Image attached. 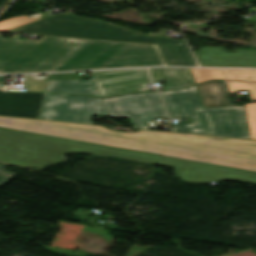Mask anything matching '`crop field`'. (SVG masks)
I'll use <instances>...</instances> for the list:
<instances>
[{"label":"crop field","mask_w":256,"mask_h":256,"mask_svg":"<svg viewBox=\"0 0 256 256\" xmlns=\"http://www.w3.org/2000/svg\"><path fill=\"white\" fill-rule=\"evenodd\" d=\"M0 127L256 171V141L145 130L127 134L103 127L4 117H0Z\"/></svg>","instance_id":"8a807250"},{"label":"crop field","mask_w":256,"mask_h":256,"mask_svg":"<svg viewBox=\"0 0 256 256\" xmlns=\"http://www.w3.org/2000/svg\"><path fill=\"white\" fill-rule=\"evenodd\" d=\"M2 39L0 74L167 66L157 45L42 36Z\"/></svg>","instance_id":"ac0d7876"},{"label":"crop field","mask_w":256,"mask_h":256,"mask_svg":"<svg viewBox=\"0 0 256 256\" xmlns=\"http://www.w3.org/2000/svg\"><path fill=\"white\" fill-rule=\"evenodd\" d=\"M70 152L107 154L174 166L178 176L188 182L209 183L222 179L256 182V173L252 172L0 129L2 162L42 169L47 164L64 161L61 155Z\"/></svg>","instance_id":"34b2d1b8"},{"label":"crop field","mask_w":256,"mask_h":256,"mask_svg":"<svg viewBox=\"0 0 256 256\" xmlns=\"http://www.w3.org/2000/svg\"><path fill=\"white\" fill-rule=\"evenodd\" d=\"M51 36L158 44L169 66H197L185 41L154 37L65 12L10 30Z\"/></svg>","instance_id":"412701ff"},{"label":"crop field","mask_w":256,"mask_h":256,"mask_svg":"<svg viewBox=\"0 0 256 256\" xmlns=\"http://www.w3.org/2000/svg\"><path fill=\"white\" fill-rule=\"evenodd\" d=\"M170 117L193 118L194 122L173 126L171 131L250 139L245 108L202 107L197 86L161 92Z\"/></svg>","instance_id":"f4fd0767"},{"label":"crop field","mask_w":256,"mask_h":256,"mask_svg":"<svg viewBox=\"0 0 256 256\" xmlns=\"http://www.w3.org/2000/svg\"><path fill=\"white\" fill-rule=\"evenodd\" d=\"M101 114H108L101 98L46 93L39 119L92 124Z\"/></svg>","instance_id":"dd49c442"},{"label":"crop field","mask_w":256,"mask_h":256,"mask_svg":"<svg viewBox=\"0 0 256 256\" xmlns=\"http://www.w3.org/2000/svg\"><path fill=\"white\" fill-rule=\"evenodd\" d=\"M112 117H131L135 128L150 129L147 121L167 117L159 92L102 99Z\"/></svg>","instance_id":"e52e79f7"},{"label":"crop field","mask_w":256,"mask_h":256,"mask_svg":"<svg viewBox=\"0 0 256 256\" xmlns=\"http://www.w3.org/2000/svg\"><path fill=\"white\" fill-rule=\"evenodd\" d=\"M101 97L147 90L151 84L147 69L90 72Z\"/></svg>","instance_id":"d8731c3e"},{"label":"crop field","mask_w":256,"mask_h":256,"mask_svg":"<svg viewBox=\"0 0 256 256\" xmlns=\"http://www.w3.org/2000/svg\"><path fill=\"white\" fill-rule=\"evenodd\" d=\"M194 54L200 66L256 68V50L227 52L223 48L202 47Z\"/></svg>","instance_id":"5a996713"},{"label":"crop field","mask_w":256,"mask_h":256,"mask_svg":"<svg viewBox=\"0 0 256 256\" xmlns=\"http://www.w3.org/2000/svg\"><path fill=\"white\" fill-rule=\"evenodd\" d=\"M45 93H0V116L39 118Z\"/></svg>","instance_id":"3316defc"},{"label":"crop field","mask_w":256,"mask_h":256,"mask_svg":"<svg viewBox=\"0 0 256 256\" xmlns=\"http://www.w3.org/2000/svg\"><path fill=\"white\" fill-rule=\"evenodd\" d=\"M197 86L205 108L234 106L225 81H210Z\"/></svg>","instance_id":"28ad6ade"},{"label":"crop field","mask_w":256,"mask_h":256,"mask_svg":"<svg viewBox=\"0 0 256 256\" xmlns=\"http://www.w3.org/2000/svg\"><path fill=\"white\" fill-rule=\"evenodd\" d=\"M150 71L153 81H165L168 90L194 84L189 68H157Z\"/></svg>","instance_id":"d1516ede"},{"label":"crop field","mask_w":256,"mask_h":256,"mask_svg":"<svg viewBox=\"0 0 256 256\" xmlns=\"http://www.w3.org/2000/svg\"><path fill=\"white\" fill-rule=\"evenodd\" d=\"M94 81V80H93ZM92 80L49 81L46 92H62L100 97Z\"/></svg>","instance_id":"22f410ed"},{"label":"crop field","mask_w":256,"mask_h":256,"mask_svg":"<svg viewBox=\"0 0 256 256\" xmlns=\"http://www.w3.org/2000/svg\"><path fill=\"white\" fill-rule=\"evenodd\" d=\"M227 80L256 82V70L223 69Z\"/></svg>","instance_id":"cbeb9de0"},{"label":"crop field","mask_w":256,"mask_h":256,"mask_svg":"<svg viewBox=\"0 0 256 256\" xmlns=\"http://www.w3.org/2000/svg\"><path fill=\"white\" fill-rule=\"evenodd\" d=\"M191 69L196 83L210 79L224 80V77L220 69Z\"/></svg>","instance_id":"5142ce71"},{"label":"crop field","mask_w":256,"mask_h":256,"mask_svg":"<svg viewBox=\"0 0 256 256\" xmlns=\"http://www.w3.org/2000/svg\"><path fill=\"white\" fill-rule=\"evenodd\" d=\"M36 20H39V19L20 15V16L0 22V31H7Z\"/></svg>","instance_id":"d9b57169"},{"label":"crop field","mask_w":256,"mask_h":256,"mask_svg":"<svg viewBox=\"0 0 256 256\" xmlns=\"http://www.w3.org/2000/svg\"><path fill=\"white\" fill-rule=\"evenodd\" d=\"M251 139H256V103L245 105Z\"/></svg>","instance_id":"733c2abd"},{"label":"crop field","mask_w":256,"mask_h":256,"mask_svg":"<svg viewBox=\"0 0 256 256\" xmlns=\"http://www.w3.org/2000/svg\"><path fill=\"white\" fill-rule=\"evenodd\" d=\"M231 92L236 93L238 90H251L249 93L251 100H256V83L228 82Z\"/></svg>","instance_id":"4a817a6b"},{"label":"crop field","mask_w":256,"mask_h":256,"mask_svg":"<svg viewBox=\"0 0 256 256\" xmlns=\"http://www.w3.org/2000/svg\"><path fill=\"white\" fill-rule=\"evenodd\" d=\"M48 80H34L31 75L24 76V85L27 91H44Z\"/></svg>","instance_id":"bc2a9ffb"},{"label":"crop field","mask_w":256,"mask_h":256,"mask_svg":"<svg viewBox=\"0 0 256 256\" xmlns=\"http://www.w3.org/2000/svg\"><path fill=\"white\" fill-rule=\"evenodd\" d=\"M7 164L0 163V187L7 183L16 173L3 170Z\"/></svg>","instance_id":"214f88e0"}]
</instances>
